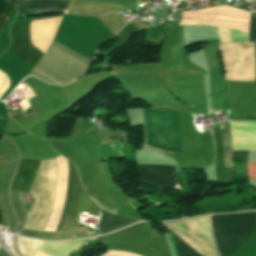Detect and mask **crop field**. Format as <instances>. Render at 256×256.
<instances>
[{
  "label": "crop field",
  "mask_w": 256,
  "mask_h": 256,
  "mask_svg": "<svg viewBox=\"0 0 256 256\" xmlns=\"http://www.w3.org/2000/svg\"><path fill=\"white\" fill-rule=\"evenodd\" d=\"M41 161L23 159L11 183V192L29 191ZM56 161H42L30 189L37 201L25 225L27 229L43 231L53 203L56 183Z\"/></svg>",
  "instance_id": "obj_1"
},
{
  "label": "crop field",
  "mask_w": 256,
  "mask_h": 256,
  "mask_svg": "<svg viewBox=\"0 0 256 256\" xmlns=\"http://www.w3.org/2000/svg\"><path fill=\"white\" fill-rule=\"evenodd\" d=\"M56 161H57V167H58V175H57V184H56V191H55V203L52 208L48 223L45 227L46 231H52V232L55 231L58 217L64 203L66 184H67V160L60 156L56 158ZM73 169H74V166L70 162H68V184H67L66 198H65V203L62 208L55 232L61 231L67 212H68L70 199H71L72 185H73ZM90 202L91 200L89 199L84 187L79 182V177L75 169L71 204H70L69 212H68L66 221L64 223L63 229H66L74 225L80 213L88 212Z\"/></svg>",
  "instance_id": "obj_2"
},
{
  "label": "crop field",
  "mask_w": 256,
  "mask_h": 256,
  "mask_svg": "<svg viewBox=\"0 0 256 256\" xmlns=\"http://www.w3.org/2000/svg\"><path fill=\"white\" fill-rule=\"evenodd\" d=\"M90 60L53 41L52 45L30 71L54 83L64 84L87 70Z\"/></svg>",
  "instance_id": "obj_3"
},
{
  "label": "crop field",
  "mask_w": 256,
  "mask_h": 256,
  "mask_svg": "<svg viewBox=\"0 0 256 256\" xmlns=\"http://www.w3.org/2000/svg\"><path fill=\"white\" fill-rule=\"evenodd\" d=\"M213 232L219 255H228L256 232V213L212 215Z\"/></svg>",
  "instance_id": "obj_4"
},
{
  "label": "crop field",
  "mask_w": 256,
  "mask_h": 256,
  "mask_svg": "<svg viewBox=\"0 0 256 256\" xmlns=\"http://www.w3.org/2000/svg\"><path fill=\"white\" fill-rule=\"evenodd\" d=\"M249 41H256V17H251ZM224 79L255 80V42L219 44Z\"/></svg>",
  "instance_id": "obj_5"
},
{
  "label": "crop field",
  "mask_w": 256,
  "mask_h": 256,
  "mask_svg": "<svg viewBox=\"0 0 256 256\" xmlns=\"http://www.w3.org/2000/svg\"><path fill=\"white\" fill-rule=\"evenodd\" d=\"M13 39L15 48L9 51L33 68L43 54L30 45V22L14 26Z\"/></svg>",
  "instance_id": "obj_6"
},
{
  "label": "crop field",
  "mask_w": 256,
  "mask_h": 256,
  "mask_svg": "<svg viewBox=\"0 0 256 256\" xmlns=\"http://www.w3.org/2000/svg\"><path fill=\"white\" fill-rule=\"evenodd\" d=\"M143 181L149 182L159 190L177 185L173 176L174 166L136 165ZM148 183V184H149Z\"/></svg>",
  "instance_id": "obj_7"
},
{
  "label": "crop field",
  "mask_w": 256,
  "mask_h": 256,
  "mask_svg": "<svg viewBox=\"0 0 256 256\" xmlns=\"http://www.w3.org/2000/svg\"><path fill=\"white\" fill-rule=\"evenodd\" d=\"M144 114L146 124V143L165 149L164 111L144 109Z\"/></svg>",
  "instance_id": "obj_8"
},
{
  "label": "crop field",
  "mask_w": 256,
  "mask_h": 256,
  "mask_svg": "<svg viewBox=\"0 0 256 256\" xmlns=\"http://www.w3.org/2000/svg\"><path fill=\"white\" fill-rule=\"evenodd\" d=\"M69 1V0H62ZM69 2L45 1V0H18L16 8L18 12H63Z\"/></svg>",
  "instance_id": "obj_9"
},
{
  "label": "crop field",
  "mask_w": 256,
  "mask_h": 256,
  "mask_svg": "<svg viewBox=\"0 0 256 256\" xmlns=\"http://www.w3.org/2000/svg\"><path fill=\"white\" fill-rule=\"evenodd\" d=\"M135 222L138 221L125 219L102 211L100 233L103 234L113 230H117L121 227L131 225Z\"/></svg>",
  "instance_id": "obj_10"
},
{
  "label": "crop field",
  "mask_w": 256,
  "mask_h": 256,
  "mask_svg": "<svg viewBox=\"0 0 256 256\" xmlns=\"http://www.w3.org/2000/svg\"><path fill=\"white\" fill-rule=\"evenodd\" d=\"M221 128H224L221 124ZM224 167H232V150L229 127L221 129Z\"/></svg>",
  "instance_id": "obj_11"
},
{
  "label": "crop field",
  "mask_w": 256,
  "mask_h": 256,
  "mask_svg": "<svg viewBox=\"0 0 256 256\" xmlns=\"http://www.w3.org/2000/svg\"><path fill=\"white\" fill-rule=\"evenodd\" d=\"M38 242L39 241L37 240H33L29 238H24L19 236L16 237L17 247L23 256H32Z\"/></svg>",
  "instance_id": "obj_12"
},
{
  "label": "crop field",
  "mask_w": 256,
  "mask_h": 256,
  "mask_svg": "<svg viewBox=\"0 0 256 256\" xmlns=\"http://www.w3.org/2000/svg\"><path fill=\"white\" fill-rule=\"evenodd\" d=\"M172 238L177 249L178 256H201L180 239H178L174 234H172Z\"/></svg>",
  "instance_id": "obj_13"
},
{
  "label": "crop field",
  "mask_w": 256,
  "mask_h": 256,
  "mask_svg": "<svg viewBox=\"0 0 256 256\" xmlns=\"http://www.w3.org/2000/svg\"><path fill=\"white\" fill-rule=\"evenodd\" d=\"M13 5L14 4L6 3V11L2 16H0V33H1V31L4 27V25H5V22H6L9 14L11 12V9H12Z\"/></svg>",
  "instance_id": "obj_14"
},
{
  "label": "crop field",
  "mask_w": 256,
  "mask_h": 256,
  "mask_svg": "<svg viewBox=\"0 0 256 256\" xmlns=\"http://www.w3.org/2000/svg\"><path fill=\"white\" fill-rule=\"evenodd\" d=\"M92 200H93L100 208H104V209H106V210H108V211H111V212H113V213L116 214V209H115V208H113V207H111V206H109V205H107V204H105V203H103V202H101V201H99V200H97V199H95V198H92Z\"/></svg>",
  "instance_id": "obj_15"
},
{
  "label": "crop field",
  "mask_w": 256,
  "mask_h": 256,
  "mask_svg": "<svg viewBox=\"0 0 256 256\" xmlns=\"http://www.w3.org/2000/svg\"><path fill=\"white\" fill-rule=\"evenodd\" d=\"M93 214L99 215L100 209L95 205L94 202H91L90 210Z\"/></svg>",
  "instance_id": "obj_16"
},
{
  "label": "crop field",
  "mask_w": 256,
  "mask_h": 256,
  "mask_svg": "<svg viewBox=\"0 0 256 256\" xmlns=\"http://www.w3.org/2000/svg\"><path fill=\"white\" fill-rule=\"evenodd\" d=\"M33 256H49V255H47V254H45V253H43V252H41V251L36 249V251H35Z\"/></svg>",
  "instance_id": "obj_17"
},
{
  "label": "crop field",
  "mask_w": 256,
  "mask_h": 256,
  "mask_svg": "<svg viewBox=\"0 0 256 256\" xmlns=\"http://www.w3.org/2000/svg\"><path fill=\"white\" fill-rule=\"evenodd\" d=\"M10 251H11L15 256H19V255L16 253V251H15L14 248H10Z\"/></svg>",
  "instance_id": "obj_18"
}]
</instances>
